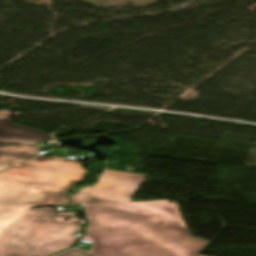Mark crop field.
Returning <instances> with one entry per match:
<instances>
[{
    "label": "crop field",
    "mask_w": 256,
    "mask_h": 256,
    "mask_svg": "<svg viewBox=\"0 0 256 256\" xmlns=\"http://www.w3.org/2000/svg\"><path fill=\"white\" fill-rule=\"evenodd\" d=\"M91 253L98 256H197L209 243L188 237L168 201L86 206Z\"/></svg>",
    "instance_id": "1"
},
{
    "label": "crop field",
    "mask_w": 256,
    "mask_h": 256,
    "mask_svg": "<svg viewBox=\"0 0 256 256\" xmlns=\"http://www.w3.org/2000/svg\"><path fill=\"white\" fill-rule=\"evenodd\" d=\"M52 218L51 208L27 212L0 233V256H49L72 246L75 224Z\"/></svg>",
    "instance_id": "2"
},
{
    "label": "crop field",
    "mask_w": 256,
    "mask_h": 256,
    "mask_svg": "<svg viewBox=\"0 0 256 256\" xmlns=\"http://www.w3.org/2000/svg\"><path fill=\"white\" fill-rule=\"evenodd\" d=\"M55 205L32 174L18 166L0 173V232L32 207Z\"/></svg>",
    "instance_id": "3"
},
{
    "label": "crop field",
    "mask_w": 256,
    "mask_h": 256,
    "mask_svg": "<svg viewBox=\"0 0 256 256\" xmlns=\"http://www.w3.org/2000/svg\"><path fill=\"white\" fill-rule=\"evenodd\" d=\"M28 169L56 205L69 204L66 190L86 175L77 160L39 156L20 165Z\"/></svg>",
    "instance_id": "4"
},
{
    "label": "crop field",
    "mask_w": 256,
    "mask_h": 256,
    "mask_svg": "<svg viewBox=\"0 0 256 256\" xmlns=\"http://www.w3.org/2000/svg\"><path fill=\"white\" fill-rule=\"evenodd\" d=\"M145 178L106 170L85 204L130 201Z\"/></svg>",
    "instance_id": "5"
},
{
    "label": "crop field",
    "mask_w": 256,
    "mask_h": 256,
    "mask_svg": "<svg viewBox=\"0 0 256 256\" xmlns=\"http://www.w3.org/2000/svg\"><path fill=\"white\" fill-rule=\"evenodd\" d=\"M46 140H51L50 135L12 124L7 118L0 119V147Z\"/></svg>",
    "instance_id": "6"
},
{
    "label": "crop field",
    "mask_w": 256,
    "mask_h": 256,
    "mask_svg": "<svg viewBox=\"0 0 256 256\" xmlns=\"http://www.w3.org/2000/svg\"><path fill=\"white\" fill-rule=\"evenodd\" d=\"M37 151H39V148L36 144H27L16 150L8 146L0 148V170L37 155L34 154Z\"/></svg>",
    "instance_id": "7"
},
{
    "label": "crop field",
    "mask_w": 256,
    "mask_h": 256,
    "mask_svg": "<svg viewBox=\"0 0 256 256\" xmlns=\"http://www.w3.org/2000/svg\"><path fill=\"white\" fill-rule=\"evenodd\" d=\"M91 187L80 189L76 195H70L71 203L72 204H81V202L84 200L88 192L90 191Z\"/></svg>",
    "instance_id": "8"
},
{
    "label": "crop field",
    "mask_w": 256,
    "mask_h": 256,
    "mask_svg": "<svg viewBox=\"0 0 256 256\" xmlns=\"http://www.w3.org/2000/svg\"><path fill=\"white\" fill-rule=\"evenodd\" d=\"M57 256H93L89 253H86L80 249H72L68 252H65V253H62L60 255H57Z\"/></svg>",
    "instance_id": "9"
},
{
    "label": "crop field",
    "mask_w": 256,
    "mask_h": 256,
    "mask_svg": "<svg viewBox=\"0 0 256 256\" xmlns=\"http://www.w3.org/2000/svg\"><path fill=\"white\" fill-rule=\"evenodd\" d=\"M9 116L8 113H0V117Z\"/></svg>",
    "instance_id": "10"
},
{
    "label": "crop field",
    "mask_w": 256,
    "mask_h": 256,
    "mask_svg": "<svg viewBox=\"0 0 256 256\" xmlns=\"http://www.w3.org/2000/svg\"><path fill=\"white\" fill-rule=\"evenodd\" d=\"M24 145H25V144H24ZM20 146H23V145H14V146H10V147L16 149V148H18V147H20Z\"/></svg>",
    "instance_id": "11"
},
{
    "label": "crop field",
    "mask_w": 256,
    "mask_h": 256,
    "mask_svg": "<svg viewBox=\"0 0 256 256\" xmlns=\"http://www.w3.org/2000/svg\"><path fill=\"white\" fill-rule=\"evenodd\" d=\"M198 256H202V255H198Z\"/></svg>",
    "instance_id": "12"
}]
</instances>
